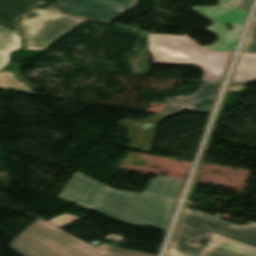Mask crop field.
<instances>
[{
  "instance_id": "9",
  "label": "crop field",
  "mask_w": 256,
  "mask_h": 256,
  "mask_svg": "<svg viewBox=\"0 0 256 256\" xmlns=\"http://www.w3.org/2000/svg\"><path fill=\"white\" fill-rule=\"evenodd\" d=\"M104 187L81 173H75L59 197L91 210Z\"/></svg>"
},
{
  "instance_id": "15",
  "label": "crop field",
  "mask_w": 256,
  "mask_h": 256,
  "mask_svg": "<svg viewBox=\"0 0 256 256\" xmlns=\"http://www.w3.org/2000/svg\"><path fill=\"white\" fill-rule=\"evenodd\" d=\"M256 80V55H242L233 81L245 83Z\"/></svg>"
},
{
  "instance_id": "7",
  "label": "crop field",
  "mask_w": 256,
  "mask_h": 256,
  "mask_svg": "<svg viewBox=\"0 0 256 256\" xmlns=\"http://www.w3.org/2000/svg\"><path fill=\"white\" fill-rule=\"evenodd\" d=\"M138 0H60L46 10L77 17L110 22L123 11L118 7L129 10Z\"/></svg>"
},
{
  "instance_id": "5",
  "label": "crop field",
  "mask_w": 256,
  "mask_h": 256,
  "mask_svg": "<svg viewBox=\"0 0 256 256\" xmlns=\"http://www.w3.org/2000/svg\"><path fill=\"white\" fill-rule=\"evenodd\" d=\"M84 21L38 8L20 20L28 49L35 50L48 48L55 39Z\"/></svg>"
},
{
  "instance_id": "16",
  "label": "crop field",
  "mask_w": 256,
  "mask_h": 256,
  "mask_svg": "<svg viewBox=\"0 0 256 256\" xmlns=\"http://www.w3.org/2000/svg\"><path fill=\"white\" fill-rule=\"evenodd\" d=\"M0 87L28 91V92L31 91L30 89L15 82L11 77V73L6 70L0 73Z\"/></svg>"
},
{
  "instance_id": "20",
  "label": "crop field",
  "mask_w": 256,
  "mask_h": 256,
  "mask_svg": "<svg viewBox=\"0 0 256 256\" xmlns=\"http://www.w3.org/2000/svg\"><path fill=\"white\" fill-rule=\"evenodd\" d=\"M167 256H194V255L170 248Z\"/></svg>"
},
{
  "instance_id": "2",
  "label": "crop field",
  "mask_w": 256,
  "mask_h": 256,
  "mask_svg": "<svg viewBox=\"0 0 256 256\" xmlns=\"http://www.w3.org/2000/svg\"><path fill=\"white\" fill-rule=\"evenodd\" d=\"M173 204L144 193H132L105 187L92 211L133 225L166 230Z\"/></svg>"
},
{
  "instance_id": "8",
  "label": "crop field",
  "mask_w": 256,
  "mask_h": 256,
  "mask_svg": "<svg viewBox=\"0 0 256 256\" xmlns=\"http://www.w3.org/2000/svg\"><path fill=\"white\" fill-rule=\"evenodd\" d=\"M219 87V83L204 82L196 93L188 97L177 96L174 99H167L169 106L160 113L161 115L170 116L182 109L205 113L209 110Z\"/></svg>"
},
{
  "instance_id": "10",
  "label": "crop field",
  "mask_w": 256,
  "mask_h": 256,
  "mask_svg": "<svg viewBox=\"0 0 256 256\" xmlns=\"http://www.w3.org/2000/svg\"><path fill=\"white\" fill-rule=\"evenodd\" d=\"M166 116L152 115L145 120H122L119 125L125 127L130 133V149L150 152L156 126L165 119Z\"/></svg>"
},
{
  "instance_id": "17",
  "label": "crop field",
  "mask_w": 256,
  "mask_h": 256,
  "mask_svg": "<svg viewBox=\"0 0 256 256\" xmlns=\"http://www.w3.org/2000/svg\"><path fill=\"white\" fill-rule=\"evenodd\" d=\"M243 52L256 54V18L246 40Z\"/></svg>"
},
{
  "instance_id": "14",
  "label": "crop field",
  "mask_w": 256,
  "mask_h": 256,
  "mask_svg": "<svg viewBox=\"0 0 256 256\" xmlns=\"http://www.w3.org/2000/svg\"><path fill=\"white\" fill-rule=\"evenodd\" d=\"M22 48L21 36L0 26V70L10 64V53Z\"/></svg>"
},
{
  "instance_id": "21",
  "label": "crop field",
  "mask_w": 256,
  "mask_h": 256,
  "mask_svg": "<svg viewBox=\"0 0 256 256\" xmlns=\"http://www.w3.org/2000/svg\"><path fill=\"white\" fill-rule=\"evenodd\" d=\"M241 89H243V88H242L241 86H239V85L230 87V90H231V91H239V90H241Z\"/></svg>"
},
{
  "instance_id": "6",
  "label": "crop field",
  "mask_w": 256,
  "mask_h": 256,
  "mask_svg": "<svg viewBox=\"0 0 256 256\" xmlns=\"http://www.w3.org/2000/svg\"><path fill=\"white\" fill-rule=\"evenodd\" d=\"M232 1L233 0H219L218 6L212 7H191L199 14L214 22L213 25L206 29L220 37V39L211 46L203 48L210 51L234 50L248 11L229 7ZM228 23L233 25V31H228L224 27Z\"/></svg>"
},
{
  "instance_id": "11",
  "label": "crop field",
  "mask_w": 256,
  "mask_h": 256,
  "mask_svg": "<svg viewBox=\"0 0 256 256\" xmlns=\"http://www.w3.org/2000/svg\"><path fill=\"white\" fill-rule=\"evenodd\" d=\"M209 241L214 244L205 248L200 256H256V247L214 233Z\"/></svg>"
},
{
  "instance_id": "19",
  "label": "crop field",
  "mask_w": 256,
  "mask_h": 256,
  "mask_svg": "<svg viewBox=\"0 0 256 256\" xmlns=\"http://www.w3.org/2000/svg\"><path fill=\"white\" fill-rule=\"evenodd\" d=\"M251 1L252 0H234V2L230 6L237 7V8L244 9V10H248Z\"/></svg>"
},
{
  "instance_id": "13",
  "label": "crop field",
  "mask_w": 256,
  "mask_h": 256,
  "mask_svg": "<svg viewBox=\"0 0 256 256\" xmlns=\"http://www.w3.org/2000/svg\"><path fill=\"white\" fill-rule=\"evenodd\" d=\"M181 182L179 179L158 176L151 180L145 193L171 201L177 197Z\"/></svg>"
},
{
  "instance_id": "18",
  "label": "crop field",
  "mask_w": 256,
  "mask_h": 256,
  "mask_svg": "<svg viewBox=\"0 0 256 256\" xmlns=\"http://www.w3.org/2000/svg\"><path fill=\"white\" fill-rule=\"evenodd\" d=\"M80 219L79 217H76V216H73V215H69V214H66V213H63L51 220H49L50 222L62 227V226H65L71 222H74L76 220Z\"/></svg>"
},
{
  "instance_id": "3",
  "label": "crop field",
  "mask_w": 256,
  "mask_h": 256,
  "mask_svg": "<svg viewBox=\"0 0 256 256\" xmlns=\"http://www.w3.org/2000/svg\"><path fill=\"white\" fill-rule=\"evenodd\" d=\"M153 63L199 65L203 80H221L230 53L207 52L185 36L148 33Z\"/></svg>"
},
{
  "instance_id": "1",
  "label": "crop field",
  "mask_w": 256,
  "mask_h": 256,
  "mask_svg": "<svg viewBox=\"0 0 256 256\" xmlns=\"http://www.w3.org/2000/svg\"><path fill=\"white\" fill-rule=\"evenodd\" d=\"M10 245L23 256H150L107 244L95 248L39 218Z\"/></svg>"
},
{
  "instance_id": "12",
  "label": "crop field",
  "mask_w": 256,
  "mask_h": 256,
  "mask_svg": "<svg viewBox=\"0 0 256 256\" xmlns=\"http://www.w3.org/2000/svg\"><path fill=\"white\" fill-rule=\"evenodd\" d=\"M33 5H40L31 0H0V25L17 33L16 19Z\"/></svg>"
},
{
  "instance_id": "4",
  "label": "crop field",
  "mask_w": 256,
  "mask_h": 256,
  "mask_svg": "<svg viewBox=\"0 0 256 256\" xmlns=\"http://www.w3.org/2000/svg\"><path fill=\"white\" fill-rule=\"evenodd\" d=\"M212 232L256 246V224L235 226L185 208L170 247L198 256L204 247L200 244L202 238L210 237ZM189 240L196 244L191 245Z\"/></svg>"
}]
</instances>
